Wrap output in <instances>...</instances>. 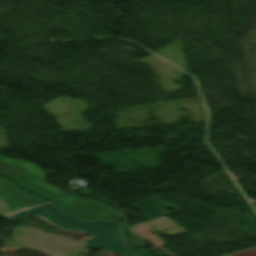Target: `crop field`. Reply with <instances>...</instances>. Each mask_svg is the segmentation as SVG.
<instances>
[{"mask_svg": "<svg viewBox=\"0 0 256 256\" xmlns=\"http://www.w3.org/2000/svg\"><path fill=\"white\" fill-rule=\"evenodd\" d=\"M33 213L63 230L75 229L94 235L95 237L82 241L89 247L117 251L126 256H139L127 246L123 238L122 227L119 222L114 220H82L69 215L51 202L26 209L6 218L14 221Z\"/></svg>", "mask_w": 256, "mask_h": 256, "instance_id": "obj_1", "label": "crop field"}, {"mask_svg": "<svg viewBox=\"0 0 256 256\" xmlns=\"http://www.w3.org/2000/svg\"><path fill=\"white\" fill-rule=\"evenodd\" d=\"M22 189L13 181L0 177V200L6 202L8 214L47 201L33 193L29 195L28 191H20Z\"/></svg>", "mask_w": 256, "mask_h": 256, "instance_id": "obj_2", "label": "crop field"}, {"mask_svg": "<svg viewBox=\"0 0 256 256\" xmlns=\"http://www.w3.org/2000/svg\"><path fill=\"white\" fill-rule=\"evenodd\" d=\"M0 173L5 174L18 182L30 178L31 176L23 173L22 171L12 167L11 165L0 160Z\"/></svg>", "mask_w": 256, "mask_h": 256, "instance_id": "obj_3", "label": "crop field"}, {"mask_svg": "<svg viewBox=\"0 0 256 256\" xmlns=\"http://www.w3.org/2000/svg\"><path fill=\"white\" fill-rule=\"evenodd\" d=\"M230 256H256V249H252L243 253L230 255Z\"/></svg>", "mask_w": 256, "mask_h": 256, "instance_id": "obj_4", "label": "crop field"}]
</instances>
